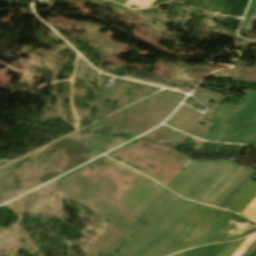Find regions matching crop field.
<instances>
[{"label": "crop field", "mask_w": 256, "mask_h": 256, "mask_svg": "<svg viewBox=\"0 0 256 256\" xmlns=\"http://www.w3.org/2000/svg\"><path fill=\"white\" fill-rule=\"evenodd\" d=\"M248 0H226L221 13L241 16Z\"/></svg>", "instance_id": "crop-field-2"}, {"label": "crop field", "mask_w": 256, "mask_h": 256, "mask_svg": "<svg viewBox=\"0 0 256 256\" xmlns=\"http://www.w3.org/2000/svg\"><path fill=\"white\" fill-rule=\"evenodd\" d=\"M247 256H256V246L251 250Z\"/></svg>", "instance_id": "crop-field-4"}, {"label": "crop field", "mask_w": 256, "mask_h": 256, "mask_svg": "<svg viewBox=\"0 0 256 256\" xmlns=\"http://www.w3.org/2000/svg\"><path fill=\"white\" fill-rule=\"evenodd\" d=\"M256 16V0H251L247 13L245 15L243 24L241 26L242 29H250L251 23Z\"/></svg>", "instance_id": "crop-field-3"}, {"label": "crop field", "mask_w": 256, "mask_h": 256, "mask_svg": "<svg viewBox=\"0 0 256 256\" xmlns=\"http://www.w3.org/2000/svg\"><path fill=\"white\" fill-rule=\"evenodd\" d=\"M256 231V224L249 220L235 215L210 242L230 241L244 237Z\"/></svg>", "instance_id": "crop-field-1"}]
</instances>
